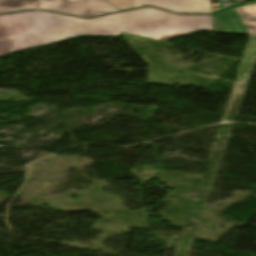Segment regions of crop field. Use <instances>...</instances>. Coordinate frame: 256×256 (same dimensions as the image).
<instances>
[{"label": "crop field", "mask_w": 256, "mask_h": 256, "mask_svg": "<svg viewBox=\"0 0 256 256\" xmlns=\"http://www.w3.org/2000/svg\"><path fill=\"white\" fill-rule=\"evenodd\" d=\"M122 13L83 19L51 12L32 11L0 16V25L115 28Z\"/></svg>", "instance_id": "obj_2"}, {"label": "crop field", "mask_w": 256, "mask_h": 256, "mask_svg": "<svg viewBox=\"0 0 256 256\" xmlns=\"http://www.w3.org/2000/svg\"><path fill=\"white\" fill-rule=\"evenodd\" d=\"M214 32L256 35V4L213 15Z\"/></svg>", "instance_id": "obj_3"}, {"label": "crop field", "mask_w": 256, "mask_h": 256, "mask_svg": "<svg viewBox=\"0 0 256 256\" xmlns=\"http://www.w3.org/2000/svg\"><path fill=\"white\" fill-rule=\"evenodd\" d=\"M198 30L213 31L212 15H178L152 7L123 13L116 29L0 26V56L79 35L120 36L124 32L166 41Z\"/></svg>", "instance_id": "obj_1"}, {"label": "crop field", "mask_w": 256, "mask_h": 256, "mask_svg": "<svg viewBox=\"0 0 256 256\" xmlns=\"http://www.w3.org/2000/svg\"><path fill=\"white\" fill-rule=\"evenodd\" d=\"M39 9H48L60 12L76 14L84 17L106 14L119 11L104 0L86 1H65L54 0V2H44L39 0Z\"/></svg>", "instance_id": "obj_4"}, {"label": "crop field", "mask_w": 256, "mask_h": 256, "mask_svg": "<svg viewBox=\"0 0 256 256\" xmlns=\"http://www.w3.org/2000/svg\"><path fill=\"white\" fill-rule=\"evenodd\" d=\"M105 1L109 2L110 4H112L113 6L121 10L130 8L133 3V0H105Z\"/></svg>", "instance_id": "obj_7"}, {"label": "crop field", "mask_w": 256, "mask_h": 256, "mask_svg": "<svg viewBox=\"0 0 256 256\" xmlns=\"http://www.w3.org/2000/svg\"><path fill=\"white\" fill-rule=\"evenodd\" d=\"M145 5L178 13H212L211 0H134L131 8Z\"/></svg>", "instance_id": "obj_5"}, {"label": "crop field", "mask_w": 256, "mask_h": 256, "mask_svg": "<svg viewBox=\"0 0 256 256\" xmlns=\"http://www.w3.org/2000/svg\"><path fill=\"white\" fill-rule=\"evenodd\" d=\"M23 2L26 4L23 5ZM29 9H37V3L32 0H0V14Z\"/></svg>", "instance_id": "obj_6"}]
</instances>
